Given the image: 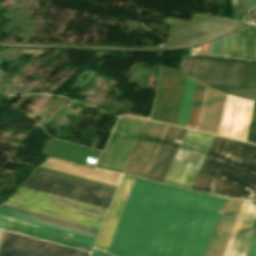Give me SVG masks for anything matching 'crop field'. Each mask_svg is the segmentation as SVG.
I'll list each match as a JSON object with an SVG mask.
<instances>
[{"label": "crop field", "instance_id": "obj_1", "mask_svg": "<svg viewBox=\"0 0 256 256\" xmlns=\"http://www.w3.org/2000/svg\"><path fill=\"white\" fill-rule=\"evenodd\" d=\"M198 195L136 178L108 252L175 256Z\"/></svg>", "mask_w": 256, "mask_h": 256}, {"label": "crop field", "instance_id": "obj_2", "mask_svg": "<svg viewBox=\"0 0 256 256\" xmlns=\"http://www.w3.org/2000/svg\"><path fill=\"white\" fill-rule=\"evenodd\" d=\"M191 189L251 199L256 190V146L216 136Z\"/></svg>", "mask_w": 256, "mask_h": 256}, {"label": "crop field", "instance_id": "obj_3", "mask_svg": "<svg viewBox=\"0 0 256 256\" xmlns=\"http://www.w3.org/2000/svg\"><path fill=\"white\" fill-rule=\"evenodd\" d=\"M188 75L223 93L256 101V63L194 57Z\"/></svg>", "mask_w": 256, "mask_h": 256}, {"label": "crop field", "instance_id": "obj_4", "mask_svg": "<svg viewBox=\"0 0 256 256\" xmlns=\"http://www.w3.org/2000/svg\"><path fill=\"white\" fill-rule=\"evenodd\" d=\"M4 205L99 229L108 211L22 187Z\"/></svg>", "mask_w": 256, "mask_h": 256}, {"label": "crop field", "instance_id": "obj_5", "mask_svg": "<svg viewBox=\"0 0 256 256\" xmlns=\"http://www.w3.org/2000/svg\"><path fill=\"white\" fill-rule=\"evenodd\" d=\"M226 198L200 194L176 256H203Z\"/></svg>", "mask_w": 256, "mask_h": 256}, {"label": "crop field", "instance_id": "obj_6", "mask_svg": "<svg viewBox=\"0 0 256 256\" xmlns=\"http://www.w3.org/2000/svg\"><path fill=\"white\" fill-rule=\"evenodd\" d=\"M214 137L188 130L163 182L190 189Z\"/></svg>", "mask_w": 256, "mask_h": 256}, {"label": "crop field", "instance_id": "obj_7", "mask_svg": "<svg viewBox=\"0 0 256 256\" xmlns=\"http://www.w3.org/2000/svg\"><path fill=\"white\" fill-rule=\"evenodd\" d=\"M22 187L42 191L45 193L65 197L87 204L109 208L112 191L40 174L34 172Z\"/></svg>", "mask_w": 256, "mask_h": 256}, {"label": "crop field", "instance_id": "obj_8", "mask_svg": "<svg viewBox=\"0 0 256 256\" xmlns=\"http://www.w3.org/2000/svg\"><path fill=\"white\" fill-rule=\"evenodd\" d=\"M144 121L134 117H120L97 167L120 172Z\"/></svg>", "mask_w": 256, "mask_h": 256}, {"label": "crop field", "instance_id": "obj_9", "mask_svg": "<svg viewBox=\"0 0 256 256\" xmlns=\"http://www.w3.org/2000/svg\"><path fill=\"white\" fill-rule=\"evenodd\" d=\"M167 126L146 120L121 172L143 177Z\"/></svg>", "mask_w": 256, "mask_h": 256}, {"label": "crop field", "instance_id": "obj_10", "mask_svg": "<svg viewBox=\"0 0 256 256\" xmlns=\"http://www.w3.org/2000/svg\"><path fill=\"white\" fill-rule=\"evenodd\" d=\"M194 16H206L205 17H193L191 23L174 20L172 23L168 42L165 45L169 46H183L192 43H197L212 37H215L227 29L231 28L237 22L217 19L207 15H194ZM205 18V21H204ZM204 21V24H203ZM203 24V27H202ZM202 27V30H201ZM200 30L209 36L200 32ZM228 31V30H227ZM207 36V37H204ZM204 37V38H200ZM200 38V39H197ZM197 39V41L195 40Z\"/></svg>", "mask_w": 256, "mask_h": 256}, {"label": "crop field", "instance_id": "obj_11", "mask_svg": "<svg viewBox=\"0 0 256 256\" xmlns=\"http://www.w3.org/2000/svg\"><path fill=\"white\" fill-rule=\"evenodd\" d=\"M53 244V243H52ZM7 233L0 256H89L90 253Z\"/></svg>", "mask_w": 256, "mask_h": 256}, {"label": "crop field", "instance_id": "obj_12", "mask_svg": "<svg viewBox=\"0 0 256 256\" xmlns=\"http://www.w3.org/2000/svg\"><path fill=\"white\" fill-rule=\"evenodd\" d=\"M186 131V129L168 126L144 176L145 178L163 181Z\"/></svg>", "mask_w": 256, "mask_h": 256}, {"label": "crop field", "instance_id": "obj_13", "mask_svg": "<svg viewBox=\"0 0 256 256\" xmlns=\"http://www.w3.org/2000/svg\"><path fill=\"white\" fill-rule=\"evenodd\" d=\"M250 202L245 201L223 256H229ZM256 232V202H251L230 256H246Z\"/></svg>", "mask_w": 256, "mask_h": 256}, {"label": "crop field", "instance_id": "obj_14", "mask_svg": "<svg viewBox=\"0 0 256 256\" xmlns=\"http://www.w3.org/2000/svg\"><path fill=\"white\" fill-rule=\"evenodd\" d=\"M134 179L135 178L133 177L123 176L108 217L102 227L99 238L95 245L96 248L106 252Z\"/></svg>", "mask_w": 256, "mask_h": 256}, {"label": "crop field", "instance_id": "obj_15", "mask_svg": "<svg viewBox=\"0 0 256 256\" xmlns=\"http://www.w3.org/2000/svg\"><path fill=\"white\" fill-rule=\"evenodd\" d=\"M0 213L18 217V218L25 219V220H29V221H33V222H37V223H41L44 225L68 230L71 232L95 237V238L97 237V235L100 231L99 229H95V228H91V227H87V226L51 218L48 216L20 210V209H16V208L4 206V205L0 206Z\"/></svg>", "mask_w": 256, "mask_h": 256}, {"label": "crop field", "instance_id": "obj_16", "mask_svg": "<svg viewBox=\"0 0 256 256\" xmlns=\"http://www.w3.org/2000/svg\"><path fill=\"white\" fill-rule=\"evenodd\" d=\"M230 57L256 59V26L247 24L231 33Z\"/></svg>", "mask_w": 256, "mask_h": 256}, {"label": "crop field", "instance_id": "obj_17", "mask_svg": "<svg viewBox=\"0 0 256 256\" xmlns=\"http://www.w3.org/2000/svg\"><path fill=\"white\" fill-rule=\"evenodd\" d=\"M0 220L2 221H6L9 223H13V224H17V225H21L24 227H28V228H32V229H36V230H40L43 232H47V233H51V234H55L88 246H93L94 242H95V238H91V237H87V236H83V235H79V234H75V233H71V232H67V231H63V230H59V229H55V228H51V227H47L44 225H40V224H36V223H32V222H28V221H24V220H20V219H16V218H12V217H8V216H4V215H0Z\"/></svg>", "mask_w": 256, "mask_h": 256}, {"label": "crop field", "instance_id": "obj_18", "mask_svg": "<svg viewBox=\"0 0 256 256\" xmlns=\"http://www.w3.org/2000/svg\"><path fill=\"white\" fill-rule=\"evenodd\" d=\"M0 229L15 232V233H19V234H23V235H26V236L42 239V240H45V241H49V242H53V243H57V244H61V245L69 246V247H73V248H77V249H80V250H82V248H84V251H88V252L91 251V248H88V247H85V246H82V245H79V244H76V243L58 238L55 235H51V234H47V233H43V232H39V231L27 229V228H23V227H20V226H16V225L4 223V222H0Z\"/></svg>", "mask_w": 256, "mask_h": 256}, {"label": "crop field", "instance_id": "obj_19", "mask_svg": "<svg viewBox=\"0 0 256 256\" xmlns=\"http://www.w3.org/2000/svg\"><path fill=\"white\" fill-rule=\"evenodd\" d=\"M194 83H195V80H193L189 77H186L183 94H182V98H181V103H180V107H179L178 117H177V121H176L177 124L186 126V121H187V116H188V112H189Z\"/></svg>", "mask_w": 256, "mask_h": 256}, {"label": "crop field", "instance_id": "obj_20", "mask_svg": "<svg viewBox=\"0 0 256 256\" xmlns=\"http://www.w3.org/2000/svg\"><path fill=\"white\" fill-rule=\"evenodd\" d=\"M205 88H206L205 85L196 81L193 98H192V103H191L189 119H188V124H192V125H196V126L198 124Z\"/></svg>", "mask_w": 256, "mask_h": 256}, {"label": "crop field", "instance_id": "obj_21", "mask_svg": "<svg viewBox=\"0 0 256 256\" xmlns=\"http://www.w3.org/2000/svg\"><path fill=\"white\" fill-rule=\"evenodd\" d=\"M230 34L209 44V55L229 57Z\"/></svg>", "mask_w": 256, "mask_h": 256}, {"label": "crop field", "instance_id": "obj_22", "mask_svg": "<svg viewBox=\"0 0 256 256\" xmlns=\"http://www.w3.org/2000/svg\"><path fill=\"white\" fill-rule=\"evenodd\" d=\"M246 141L256 143V102L254 104L251 122Z\"/></svg>", "mask_w": 256, "mask_h": 256}, {"label": "crop field", "instance_id": "obj_23", "mask_svg": "<svg viewBox=\"0 0 256 256\" xmlns=\"http://www.w3.org/2000/svg\"><path fill=\"white\" fill-rule=\"evenodd\" d=\"M247 256H256V235Z\"/></svg>", "mask_w": 256, "mask_h": 256}, {"label": "crop field", "instance_id": "obj_24", "mask_svg": "<svg viewBox=\"0 0 256 256\" xmlns=\"http://www.w3.org/2000/svg\"><path fill=\"white\" fill-rule=\"evenodd\" d=\"M247 5L250 12L256 6V0H247Z\"/></svg>", "mask_w": 256, "mask_h": 256}, {"label": "crop field", "instance_id": "obj_25", "mask_svg": "<svg viewBox=\"0 0 256 256\" xmlns=\"http://www.w3.org/2000/svg\"><path fill=\"white\" fill-rule=\"evenodd\" d=\"M92 256H109V255L103 254L95 250Z\"/></svg>", "mask_w": 256, "mask_h": 256}, {"label": "crop field", "instance_id": "obj_26", "mask_svg": "<svg viewBox=\"0 0 256 256\" xmlns=\"http://www.w3.org/2000/svg\"><path fill=\"white\" fill-rule=\"evenodd\" d=\"M6 233L7 232L4 231L2 236H1V238H0V246H1L2 242H3V239H4L5 235H6Z\"/></svg>", "mask_w": 256, "mask_h": 256}, {"label": "crop field", "instance_id": "obj_27", "mask_svg": "<svg viewBox=\"0 0 256 256\" xmlns=\"http://www.w3.org/2000/svg\"><path fill=\"white\" fill-rule=\"evenodd\" d=\"M222 129H223V127L221 126L219 135H221V133H222Z\"/></svg>", "mask_w": 256, "mask_h": 256}, {"label": "crop field", "instance_id": "obj_28", "mask_svg": "<svg viewBox=\"0 0 256 256\" xmlns=\"http://www.w3.org/2000/svg\"><path fill=\"white\" fill-rule=\"evenodd\" d=\"M254 195H256V192H255V194Z\"/></svg>", "mask_w": 256, "mask_h": 256}]
</instances>
